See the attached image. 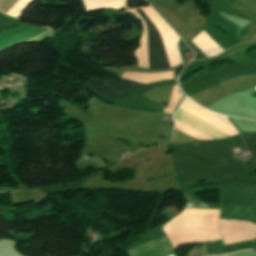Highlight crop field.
Listing matches in <instances>:
<instances>
[{
    "label": "crop field",
    "instance_id": "3",
    "mask_svg": "<svg viewBox=\"0 0 256 256\" xmlns=\"http://www.w3.org/2000/svg\"><path fill=\"white\" fill-rule=\"evenodd\" d=\"M178 111V110H177ZM175 119L213 137L216 139L230 137L231 135L179 110L175 116Z\"/></svg>",
    "mask_w": 256,
    "mask_h": 256
},
{
    "label": "crop field",
    "instance_id": "4",
    "mask_svg": "<svg viewBox=\"0 0 256 256\" xmlns=\"http://www.w3.org/2000/svg\"><path fill=\"white\" fill-rule=\"evenodd\" d=\"M168 244H169V242H168L166 236H164L162 238H159L157 240H154V241L144 244L142 246L131 249L128 251V254H129V256H140L142 254L153 251L155 249L166 246ZM170 253H172L171 245L164 247L162 249H159L157 251H154L152 253H149L147 255H144V256H168ZM169 256H173V253L170 254Z\"/></svg>",
    "mask_w": 256,
    "mask_h": 256
},
{
    "label": "crop field",
    "instance_id": "2",
    "mask_svg": "<svg viewBox=\"0 0 256 256\" xmlns=\"http://www.w3.org/2000/svg\"><path fill=\"white\" fill-rule=\"evenodd\" d=\"M137 84L139 83L128 80H126L125 82H112L99 80L93 77L84 86L88 87V89L92 90L105 100L112 103L123 94L128 92L130 89L135 87Z\"/></svg>",
    "mask_w": 256,
    "mask_h": 256
},
{
    "label": "crop field",
    "instance_id": "5",
    "mask_svg": "<svg viewBox=\"0 0 256 256\" xmlns=\"http://www.w3.org/2000/svg\"><path fill=\"white\" fill-rule=\"evenodd\" d=\"M185 208L219 209L218 205L187 204Z\"/></svg>",
    "mask_w": 256,
    "mask_h": 256
},
{
    "label": "crop field",
    "instance_id": "1",
    "mask_svg": "<svg viewBox=\"0 0 256 256\" xmlns=\"http://www.w3.org/2000/svg\"><path fill=\"white\" fill-rule=\"evenodd\" d=\"M137 12L143 18L147 26V44H148V60L149 68H165L169 67L165 56V52L161 43L160 36L147 16L138 9Z\"/></svg>",
    "mask_w": 256,
    "mask_h": 256
}]
</instances>
